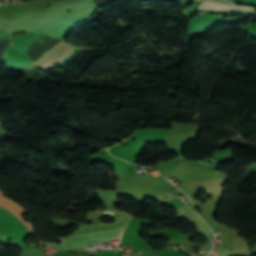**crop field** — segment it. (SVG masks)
Segmentation results:
<instances>
[{
	"instance_id": "obj_1",
	"label": "crop field",
	"mask_w": 256,
	"mask_h": 256,
	"mask_svg": "<svg viewBox=\"0 0 256 256\" xmlns=\"http://www.w3.org/2000/svg\"><path fill=\"white\" fill-rule=\"evenodd\" d=\"M113 217L116 219V221L111 225H106L104 223L96 224V225H87L81 228L79 227L80 229H78L71 235L122 228L126 226L127 222L131 218L126 214H117V215H113ZM123 229L124 228L97 232V233L84 234V235H77V236L70 235L71 237L60 238L62 240V244L60 245H56L55 243H46V244L54 248H61V249L84 247L88 243L105 242V241L111 240V237H120ZM112 239H116V238H112Z\"/></svg>"
},
{
	"instance_id": "obj_2",
	"label": "crop field",
	"mask_w": 256,
	"mask_h": 256,
	"mask_svg": "<svg viewBox=\"0 0 256 256\" xmlns=\"http://www.w3.org/2000/svg\"><path fill=\"white\" fill-rule=\"evenodd\" d=\"M0 230L9 236L24 252L31 249L23 242V238L29 235L27 228L17 219L2 211H0Z\"/></svg>"
},
{
	"instance_id": "obj_3",
	"label": "crop field",
	"mask_w": 256,
	"mask_h": 256,
	"mask_svg": "<svg viewBox=\"0 0 256 256\" xmlns=\"http://www.w3.org/2000/svg\"><path fill=\"white\" fill-rule=\"evenodd\" d=\"M74 49L75 48L61 41L57 46H55L51 51H49L45 56H43L34 64L42 68L54 67L66 56H68Z\"/></svg>"
},
{
	"instance_id": "obj_4",
	"label": "crop field",
	"mask_w": 256,
	"mask_h": 256,
	"mask_svg": "<svg viewBox=\"0 0 256 256\" xmlns=\"http://www.w3.org/2000/svg\"><path fill=\"white\" fill-rule=\"evenodd\" d=\"M200 8H216V9H244V10H255L248 7L242 6H231L223 3H218L214 1H204Z\"/></svg>"
}]
</instances>
